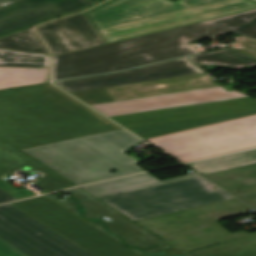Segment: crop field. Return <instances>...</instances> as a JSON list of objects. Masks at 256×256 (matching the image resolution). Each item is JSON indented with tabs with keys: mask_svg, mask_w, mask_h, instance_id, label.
Segmentation results:
<instances>
[{
	"mask_svg": "<svg viewBox=\"0 0 256 256\" xmlns=\"http://www.w3.org/2000/svg\"><path fill=\"white\" fill-rule=\"evenodd\" d=\"M72 98L50 83L1 90L0 137L22 149L120 129L113 123L94 126L110 120Z\"/></svg>",
	"mask_w": 256,
	"mask_h": 256,
	"instance_id": "obj_1",
	"label": "crop field"
},
{
	"mask_svg": "<svg viewBox=\"0 0 256 256\" xmlns=\"http://www.w3.org/2000/svg\"><path fill=\"white\" fill-rule=\"evenodd\" d=\"M254 8L249 0H109L84 14L108 43Z\"/></svg>",
	"mask_w": 256,
	"mask_h": 256,
	"instance_id": "obj_2",
	"label": "crop field"
},
{
	"mask_svg": "<svg viewBox=\"0 0 256 256\" xmlns=\"http://www.w3.org/2000/svg\"><path fill=\"white\" fill-rule=\"evenodd\" d=\"M234 196L256 209V189ZM249 209L251 208L233 198L137 223L184 253L238 238L187 253L190 256H256V232L230 234L215 222L246 213Z\"/></svg>",
	"mask_w": 256,
	"mask_h": 256,
	"instance_id": "obj_3",
	"label": "crop field"
},
{
	"mask_svg": "<svg viewBox=\"0 0 256 256\" xmlns=\"http://www.w3.org/2000/svg\"><path fill=\"white\" fill-rule=\"evenodd\" d=\"M142 140L121 129L22 151L38 159L73 183L80 185L142 171V162L125 151ZM111 170L116 172L112 173Z\"/></svg>",
	"mask_w": 256,
	"mask_h": 256,
	"instance_id": "obj_4",
	"label": "crop field"
},
{
	"mask_svg": "<svg viewBox=\"0 0 256 256\" xmlns=\"http://www.w3.org/2000/svg\"><path fill=\"white\" fill-rule=\"evenodd\" d=\"M255 14L256 9L54 56L52 68H73L220 35L237 28Z\"/></svg>",
	"mask_w": 256,
	"mask_h": 256,
	"instance_id": "obj_5",
	"label": "crop field"
},
{
	"mask_svg": "<svg viewBox=\"0 0 256 256\" xmlns=\"http://www.w3.org/2000/svg\"><path fill=\"white\" fill-rule=\"evenodd\" d=\"M198 176L108 198L106 204L133 221L233 198Z\"/></svg>",
	"mask_w": 256,
	"mask_h": 256,
	"instance_id": "obj_6",
	"label": "crop field"
},
{
	"mask_svg": "<svg viewBox=\"0 0 256 256\" xmlns=\"http://www.w3.org/2000/svg\"><path fill=\"white\" fill-rule=\"evenodd\" d=\"M180 162L256 147V115L148 139Z\"/></svg>",
	"mask_w": 256,
	"mask_h": 256,
	"instance_id": "obj_7",
	"label": "crop field"
},
{
	"mask_svg": "<svg viewBox=\"0 0 256 256\" xmlns=\"http://www.w3.org/2000/svg\"><path fill=\"white\" fill-rule=\"evenodd\" d=\"M13 205L95 256L137 255L44 196Z\"/></svg>",
	"mask_w": 256,
	"mask_h": 256,
	"instance_id": "obj_8",
	"label": "crop field"
},
{
	"mask_svg": "<svg viewBox=\"0 0 256 256\" xmlns=\"http://www.w3.org/2000/svg\"><path fill=\"white\" fill-rule=\"evenodd\" d=\"M0 238L29 256H93L11 204L0 206Z\"/></svg>",
	"mask_w": 256,
	"mask_h": 256,
	"instance_id": "obj_9",
	"label": "crop field"
},
{
	"mask_svg": "<svg viewBox=\"0 0 256 256\" xmlns=\"http://www.w3.org/2000/svg\"><path fill=\"white\" fill-rule=\"evenodd\" d=\"M68 192L74 196L56 201L135 252L140 254L170 248L83 190L76 188ZM104 216L112 220L108 222L102 218Z\"/></svg>",
	"mask_w": 256,
	"mask_h": 256,
	"instance_id": "obj_10",
	"label": "crop field"
},
{
	"mask_svg": "<svg viewBox=\"0 0 256 256\" xmlns=\"http://www.w3.org/2000/svg\"><path fill=\"white\" fill-rule=\"evenodd\" d=\"M92 4L88 0H0V36Z\"/></svg>",
	"mask_w": 256,
	"mask_h": 256,
	"instance_id": "obj_11",
	"label": "crop field"
},
{
	"mask_svg": "<svg viewBox=\"0 0 256 256\" xmlns=\"http://www.w3.org/2000/svg\"><path fill=\"white\" fill-rule=\"evenodd\" d=\"M219 86L206 74L103 88L72 95L89 105Z\"/></svg>",
	"mask_w": 256,
	"mask_h": 256,
	"instance_id": "obj_12",
	"label": "crop field"
},
{
	"mask_svg": "<svg viewBox=\"0 0 256 256\" xmlns=\"http://www.w3.org/2000/svg\"><path fill=\"white\" fill-rule=\"evenodd\" d=\"M202 73L186 58L123 73L56 82L69 93Z\"/></svg>",
	"mask_w": 256,
	"mask_h": 256,
	"instance_id": "obj_13",
	"label": "crop field"
},
{
	"mask_svg": "<svg viewBox=\"0 0 256 256\" xmlns=\"http://www.w3.org/2000/svg\"><path fill=\"white\" fill-rule=\"evenodd\" d=\"M256 100L251 97L190 105L184 107L113 116L111 117L126 128L192 119L198 117L255 110Z\"/></svg>",
	"mask_w": 256,
	"mask_h": 256,
	"instance_id": "obj_14",
	"label": "crop field"
},
{
	"mask_svg": "<svg viewBox=\"0 0 256 256\" xmlns=\"http://www.w3.org/2000/svg\"><path fill=\"white\" fill-rule=\"evenodd\" d=\"M246 97L237 91L227 92L222 87L189 91L183 93L127 100L121 102L93 105L102 113L113 116L183 105Z\"/></svg>",
	"mask_w": 256,
	"mask_h": 256,
	"instance_id": "obj_15",
	"label": "crop field"
},
{
	"mask_svg": "<svg viewBox=\"0 0 256 256\" xmlns=\"http://www.w3.org/2000/svg\"><path fill=\"white\" fill-rule=\"evenodd\" d=\"M36 31L53 56L104 44L83 13L39 26Z\"/></svg>",
	"mask_w": 256,
	"mask_h": 256,
	"instance_id": "obj_16",
	"label": "crop field"
},
{
	"mask_svg": "<svg viewBox=\"0 0 256 256\" xmlns=\"http://www.w3.org/2000/svg\"><path fill=\"white\" fill-rule=\"evenodd\" d=\"M196 53L187 43L77 67L73 69H52V80L66 79L114 70L132 68L136 66L146 65L154 62H159L167 59H172L180 56Z\"/></svg>",
	"mask_w": 256,
	"mask_h": 256,
	"instance_id": "obj_17",
	"label": "crop field"
},
{
	"mask_svg": "<svg viewBox=\"0 0 256 256\" xmlns=\"http://www.w3.org/2000/svg\"><path fill=\"white\" fill-rule=\"evenodd\" d=\"M26 164L46 174L35 184L46 192L74 187L66 179L0 139V176Z\"/></svg>",
	"mask_w": 256,
	"mask_h": 256,
	"instance_id": "obj_18",
	"label": "crop field"
},
{
	"mask_svg": "<svg viewBox=\"0 0 256 256\" xmlns=\"http://www.w3.org/2000/svg\"><path fill=\"white\" fill-rule=\"evenodd\" d=\"M195 176H198V175L195 173H192V174L160 181L155 177H153L152 175L145 173V174L115 179V180L83 187V189L96 195L98 198H102V197H108V196L132 191V190L160 185V184H164V183H168L176 180L191 178Z\"/></svg>",
	"mask_w": 256,
	"mask_h": 256,
	"instance_id": "obj_19",
	"label": "crop field"
},
{
	"mask_svg": "<svg viewBox=\"0 0 256 256\" xmlns=\"http://www.w3.org/2000/svg\"><path fill=\"white\" fill-rule=\"evenodd\" d=\"M253 114H256V110L219 115V116H212V117H205V118H199V119H192V120H185V121H178V122H171V123L158 124V125L134 127V128H129V130L133 131L134 133L138 134L139 136L145 139H148V138H152L160 135H165L169 133L201 127V126L218 123L226 120H231L235 118H240V117L253 115Z\"/></svg>",
	"mask_w": 256,
	"mask_h": 256,
	"instance_id": "obj_20",
	"label": "crop field"
},
{
	"mask_svg": "<svg viewBox=\"0 0 256 256\" xmlns=\"http://www.w3.org/2000/svg\"><path fill=\"white\" fill-rule=\"evenodd\" d=\"M231 194L256 188V163L204 175Z\"/></svg>",
	"mask_w": 256,
	"mask_h": 256,
	"instance_id": "obj_21",
	"label": "crop field"
},
{
	"mask_svg": "<svg viewBox=\"0 0 256 256\" xmlns=\"http://www.w3.org/2000/svg\"><path fill=\"white\" fill-rule=\"evenodd\" d=\"M49 69L0 67V89L48 82Z\"/></svg>",
	"mask_w": 256,
	"mask_h": 256,
	"instance_id": "obj_22",
	"label": "crop field"
},
{
	"mask_svg": "<svg viewBox=\"0 0 256 256\" xmlns=\"http://www.w3.org/2000/svg\"><path fill=\"white\" fill-rule=\"evenodd\" d=\"M256 162V150L188 164L201 175Z\"/></svg>",
	"mask_w": 256,
	"mask_h": 256,
	"instance_id": "obj_23",
	"label": "crop field"
},
{
	"mask_svg": "<svg viewBox=\"0 0 256 256\" xmlns=\"http://www.w3.org/2000/svg\"><path fill=\"white\" fill-rule=\"evenodd\" d=\"M195 64L223 65L235 69L256 66V60L232 49L190 57Z\"/></svg>",
	"mask_w": 256,
	"mask_h": 256,
	"instance_id": "obj_24",
	"label": "crop field"
},
{
	"mask_svg": "<svg viewBox=\"0 0 256 256\" xmlns=\"http://www.w3.org/2000/svg\"><path fill=\"white\" fill-rule=\"evenodd\" d=\"M0 49L48 55L35 32L26 30L0 38Z\"/></svg>",
	"mask_w": 256,
	"mask_h": 256,
	"instance_id": "obj_25",
	"label": "crop field"
},
{
	"mask_svg": "<svg viewBox=\"0 0 256 256\" xmlns=\"http://www.w3.org/2000/svg\"><path fill=\"white\" fill-rule=\"evenodd\" d=\"M0 66L49 68V56L0 50Z\"/></svg>",
	"mask_w": 256,
	"mask_h": 256,
	"instance_id": "obj_26",
	"label": "crop field"
},
{
	"mask_svg": "<svg viewBox=\"0 0 256 256\" xmlns=\"http://www.w3.org/2000/svg\"><path fill=\"white\" fill-rule=\"evenodd\" d=\"M235 39L237 41L230 45L231 47H234L256 58V39L242 35L235 37Z\"/></svg>",
	"mask_w": 256,
	"mask_h": 256,
	"instance_id": "obj_27",
	"label": "crop field"
},
{
	"mask_svg": "<svg viewBox=\"0 0 256 256\" xmlns=\"http://www.w3.org/2000/svg\"><path fill=\"white\" fill-rule=\"evenodd\" d=\"M0 188L7 192L8 194L12 195L16 199L24 198V197H29L33 196L32 192L28 191L27 189L23 188L21 190H18L11 186L10 184L6 183L4 180L0 179Z\"/></svg>",
	"mask_w": 256,
	"mask_h": 256,
	"instance_id": "obj_28",
	"label": "crop field"
},
{
	"mask_svg": "<svg viewBox=\"0 0 256 256\" xmlns=\"http://www.w3.org/2000/svg\"><path fill=\"white\" fill-rule=\"evenodd\" d=\"M233 32L238 34L246 35L252 38H256V15L246 21L244 24L239 26Z\"/></svg>",
	"mask_w": 256,
	"mask_h": 256,
	"instance_id": "obj_29",
	"label": "crop field"
},
{
	"mask_svg": "<svg viewBox=\"0 0 256 256\" xmlns=\"http://www.w3.org/2000/svg\"><path fill=\"white\" fill-rule=\"evenodd\" d=\"M0 256H27L12 245L0 239Z\"/></svg>",
	"mask_w": 256,
	"mask_h": 256,
	"instance_id": "obj_30",
	"label": "crop field"
},
{
	"mask_svg": "<svg viewBox=\"0 0 256 256\" xmlns=\"http://www.w3.org/2000/svg\"><path fill=\"white\" fill-rule=\"evenodd\" d=\"M137 256H185V255L173 248H170V249L161 250V251L144 253V254L137 255Z\"/></svg>",
	"mask_w": 256,
	"mask_h": 256,
	"instance_id": "obj_31",
	"label": "crop field"
},
{
	"mask_svg": "<svg viewBox=\"0 0 256 256\" xmlns=\"http://www.w3.org/2000/svg\"><path fill=\"white\" fill-rule=\"evenodd\" d=\"M11 200H15V198L11 197L10 195H8L7 193H5L0 189V203L11 201Z\"/></svg>",
	"mask_w": 256,
	"mask_h": 256,
	"instance_id": "obj_32",
	"label": "crop field"
},
{
	"mask_svg": "<svg viewBox=\"0 0 256 256\" xmlns=\"http://www.w3.org/2000/svg\"><path fill=\"white\" fill-rule=\"evenodd\" d=\"M18 112H19L22 116L28 115V114H26V113H24V112H22V111H20V110H18Z\"/></svg>",
	"mask_w": 256,
	"mask_h": 256,
	"instance_id": "obj_33",
	"label": "crop field"
},
{
	"mask_svg": "<svg viewBox=\"0 0 256 256\" xmlns=\"http://www.w3.org/2000/svg\"><path fill=\"white\" fill-rule=\"evenodd\" d=\"M90 1H92V2L96 3V2H98V1H100V0H90Z\"/></svg>",
	"mask_w": 256,
	"mask_h": 256,
	"instance_id": "obj_34",
	"label": "crop field"
},
{
	"mask_svg": "<svg viewBox=\"0 0 256 256\" xmlns=\"http://www.w3.org/2000/svg\"><path fill=\"white\" fill-rule=\"evenodd\" d=\"M111 122V121H110ZM102 123H104V122H102ZM102 123H97V124H94V125H98V124H102Z\"/></svg>",
	"mask_w": 256,
	"mask_h": 256,
	"instance_id": "obj_35",
	"label": "crop field"
},
{
	"mask_svg": "<svg viewBox=\"0 0 256 256\" xmlns=\"http://www.w3.org/2000/svg\"><path fill=\"white\" fill-rule=\"evenodd\" d=\"M252 1H255V2H256V0H252Z\"/></svg>",
	"mask_w": 256,
	"mask_h": 256,
	"instance_id": "obj_36",
	"label": "crop field"
}]
</instances>
